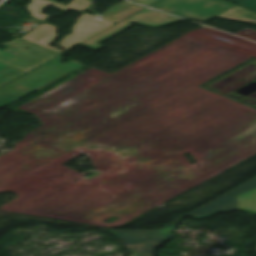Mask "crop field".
<instances>
[{
    "label": "crop field",
    "mask_w": 256,
    "mask_h": 256,
    "mask_svg": "<svg viewBox=\"0 0 256 256\" xmlns=\"http://www.w3.org/2000/svg\"><path fill=\"white\" fill-rule=\"evenodd\" d=\"M232 1H236V2L240 3V2H242L244 0H232Z\"/></svg>",
    "instance_id": "obj_14"
},
{
    "label": "crop field",
    "mask_w": 256,
    "mask_h": 256,
    "mask_svg": "<svg viewBox=\"0 0 256 256\" xmlns=\"http://www.w3.org/2000/svg\"><path fill=\"white\" fill-rule=\"evenodd\" d=\"M218 17L256 23V14L255 13L250 12V11L243 9L241 7H238V6L230 9L229 11L225 12L224 14H222Z\"/></svg>",
    "instance_id": "obj_10"
},
{
    "label": "crop field",
    "mask_w": 256,
    "mask_h": 256,
    "mask_svg": "<svg viewBox=\"0 0 256 256\" xmlns=\"http://www.w3.org/2000/svg\"><path fill=\"white\" fill-rule=\"evenodd\" d=\"M241 4L256 11V0H247Z\"/></svg>",
    "instance_id": "obj_12"
},
{
    "label": "crop field",
    "mask_w": 256,
    "mask_h": 256,
    "mask_svg": "<svg viewBox=\"0 0 256 256\" xmlns=\"http://www.w3.org/2000/svg\"><path fill=\"white\" fill-rule=\"evenodd\" d=\"M135 20L136 23L149 26V27H159L163 25H168L174 22L181 21L182 19L175 18L169 15H165L159 12H155L146 9L120 23L109 28L108 30L102 32L101 34L93 37L92 39L82 43L81 45L90 48L94 51L102 48L103 46L98 45L100 42L106 40L107 38L115 35L116 33L122 31L123 29L131 26L130 23Z\"/></svg>",
    "instance_id": "obj_5"
},
{
    "label": "crop field",
    "mask_w": 256,
    "mask_h": 256,
    "mask_svg": "<svg viewBox=\"0 0 256 256\" xmlns=\"http://www.w3.org/2000/svg\"><path fill=\"white\" fill-rule=\"evenodd\" d=\"M64 54L45 63L37 69L11 82L0 89V107L15 101L33 91L39 90L50 83L60 79L70 72L82 67L81 63L71 61L61 64L60 59ZM15 98V100H11Z\"/></svg>",
    "instance_id": "obj_3"
},
{
    "label": "crop field",
    "mask_w": 256,
    "mask_h": 256,
    "mask_svg": "<svg viewBox=\"0 0 256 256\" xmlns=\"http://www.w3.org/2000/svg\"><path fill=\"white\" fill-rule=\"evenodd\" d=\"M2 45L9 48L6 52L0 51V87L61 54L23 38H16Z\"/></svg>",
    "instance_id": "obj_2"
},
{
    "label": "crop field",
    "mask_w": 256,
    "mask_h": 256,
    "mask_svg": "<svg viewBox=\"0 0 256 256\" xmlns=\"http://www.w3.org/2000/svg\"><path fill=\"white\" fill-rule=\"evenodd\" d=\"M232 6L220 0H163L151 7L184 18L206 21Z\"/></svg>",
    "instance_id": "obj_4"
},
{
    "label": "crop field",
    "mask_w": 256,
    "mask_h": 256,
    "mask_svg": "<svg viewBox=\"0 0 256 256\" xmlns=\"http://www.w3.org/2000/svg\"><path fill=\"white\" fill-rule=\"evenodd\" d=\"M134 1H138V2H140L142 4H145V5L149 6V5L155 3V2H157L159 0H134Z\"/></svg>",
    "instance_id": "obj_13"
},
{
    "label": "crop field",
    "mask_w": 256,
    "mask_h": 256,
    "mask_svg": "<svg viewBox=\"0 0 256 256\" xmlns=\"http://www.w3.org/2000/svg\"><path fill=\"white\" fill-rule=\"evenodd\" d=\"M89 3L90 1L88 0H74L67 6L77 9L79 11H82L89 6Z\"/></svg>",
    "instance_id": "obj_11"
},
{
    "label": "crop field",
    "mask_w": 256,
    "mask_h": 256,
    "mask_svg": "<svg viewBox=\"0 0 256 256\" xmlns=\"http://www.w3.org/2000/svg\"><path fill=\"white\" fill-rule=\"evenodd\" d=\"M239 211L256 215V189L237 196Z\"/></svg>",
    "instance_id": "obj_8"
},
{
    "label": "crop field",
    "mask_w": 256,
    "mask_h": 256,
    "mask_svg": "<svg viewBox=\"0 0 256 256\" xmlns=\"http://www.w3.org/2000/svg\"><path fill=\"white\" fill-rule=\"evenodd\" d=\"M50 5H53L63 11H65L69 8V7H64V6L52 3L47 0H32V2L30 4H28L27 11L32 13L33 14L32 16H34L38 19L44 20V19H47L48 16H46L40 12Z\"/></svg>",
    "instance_id": "obj_9"
},
{
    "label": "crop field",
    "mask_w": 256,
    "mask_h": 256,
    "mask_svg": "<svg viewBox=\"0 0 256 256\" xmlns=\"http://www.w3.org/2000/svg\"><path fill=\"white\" fill-rule=\"evenodd\" d=\"M76 22L77 24L73 26V33H70L71 35H69L68 37L66 36L67 38H65L64 40L62 39L63 41L60 42L65 50L115 23L112 21L94 17L86 13H84ZM106 23L108 24L106 25ZM46 47L51 48L49 46ZM56 51L62 52L59 50Z\"/></svg>",
    "instance_id": "obj_6"
},
{
    "label": "crop field",
    "mask_w": 256,
    "mask_h": 256,
    "mask_svg": "<svg viewBox=\"0 0 256 256\" xmlns=\"http://www.w3.org/2000/svg\"><path fill=\"white\" fill-rule=\"evenodd\" d=\"M56 30H57L56 27H53L46 23L41 27L33 30L23 38L30 40L36 44L45 46V45H49L53 39L58 37L57 35H55Z\"/></svg>",
    "instance_id": "obj_7"
},
{
    "label": "crop field",
    "mask_w": 256,
    "mask_h": 256,
    "mask_svg": "<svg viewBox=\"0 0 256 256\" xmlns=\"http://www.w3.org/2000/svg\"><path fill=\"white\" fill-rule=\"evenodd\" d=\"M253 188H256V178L186 216H191L195 219H204L218 213L238 210L236 195ZM180 219L159 230H105L103 232L114 234V237L120 239L128 247L132 256H153L155 247H159L173 239L174 230Z\"/></svg>",
    "instance_id": "obj_1"
}]
</instances>
